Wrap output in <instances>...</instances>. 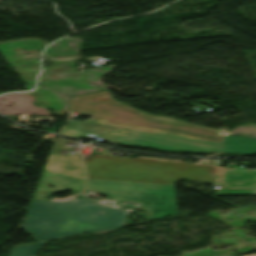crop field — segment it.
I'll return each instance as SVG.
<instances>
[{
	"mask_svg": "<svg viewBox=\"0 0 256 256\" xmlns=\"http://www.w3.org/2000/svg\"><path fill=\"white\" fill-rule=\"evenodd\" d=\"M69 109L92 116L63 127L60 135L69 137L96 136L169 152L219 151L223 138L216 129L148 115L113 99L109 90L75 96Z\"/></svg>",
	"mask_w": 256,
	"mask_h": 256,
	"instance_id": "1",
	"label": "crop field"
},
{
	"mask_svg": "<svg viewBox=\"0 0 256 256\" xmlns=\"http://www.w3.org/2000/svg\"><path fill=\"white\" fill-rule=\"evenodd\" d=\"M84 162L85 190L104 193L112 200L137 202L151 219L177 214L176 181L213 184L211 166L97 155Z\"/></svg>",
	"mask_w": 256,
	"mask_h": 256,
	"instance_id": "2",
	"label": "crop field"
},
{
	"mask_svg": "<svg viewBox=\"0 0 256 256\" xmlns=\"http://www.w3.org/2000/svg\"><path fill=\"white\" fill-rule=\"evenodd\" d=\"M124 218V210L88 199L63 203L32 200L23 228L39 242L121 228Z\"/></svg>",
	"mask_w": 256,
	"mask_h": 256,
	"instance_id": "3",
	"label": "crop field"
},
{
	"mask_svg": "<svg viewBox=\"0 0 256 256\" xmlns=\"http://www.w3.org/2000/svg\"><path fill=\"white\" fill-rule=\"evenodd\" d=\"M71 141L57 139L41 176L36 191L59 192L61 190L82 191L85 173L80 154L61 155L62 150L77 151L78 147L66 146ZM45 181V182H42ZM52 185L55 188L50 189Z\"/></svg>",
	"mask_w": 256,
	"mask_h": 256,
	"instance_id": "4",
	"label": "crop field"
},
{
	"mask_svg": "<svg viewBox=\"0 0 256 256\" xmlns=\"http://www.w3.org/2000/svg\"><path fill=\"white\" fill-rule=\"evenodd\" d=\"M215 167V184L221 186L216 195H256V169L233 170Z\"/></svg>",
	"mask_w": 256,
	"mask_h": 256,
	"instance_id": "5",
	"label": "crop field"
},
{
	"mask_svg": "<svg viewBox=\"0 0 256 256\" xmlns=\"http://www.w3.org/2000/svg\"><path fill=\"white\" fill-rule=\"evenodd\" d=\"M222 152L256 153V139L231 135L223 142Z\"/></svg>",
	"mask_w": 256,
	"mask_h": 256,
	"instance_id": "6",
	"label": "crop field"
},
{
	"mask_svg": "<svg viewBox=\"0 0 256 256\" xmlns=\"http://www.w3.org/2000/svg\"><path fill=\"white\" fill-rule=\"evenodd\" d=\"M45 244L40 242L37 244L23 245L12 249L10 256H34L35 253Z\"/></svg>",
	"mask_w": 256,
	"mask_h": 256,
	"instance_id": "7",
	"label": "crop field"
}]
</instances>
